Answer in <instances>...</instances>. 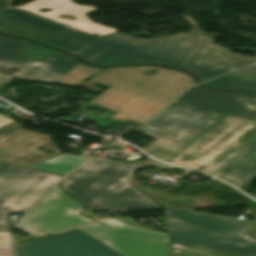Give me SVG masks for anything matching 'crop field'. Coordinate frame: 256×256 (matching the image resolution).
I'll return each instance as SVG.
<instances>
[{
    "instance_id": "obj_28",
    "label": "crop field",
    "mask_w": 256,
    "mask_h": 256,
    "mask_svg": "<svg viewBox=\"0 0 256 256\" xmlns=\"http://www.w3.org/2000/svg\"><path fill=\"white\" fill-rule=\"evenodd\" d=\"M4 81H5V80H3V79H0V84H1V83H3Z\"/></svg>"
},
{
    "instance_id": "obj_16",
    "label": "crop field",
    "mask_w": 256,
    "mask_h": 256,
    "mask_svg": "<svg viewBox=\"0 0 256 256\" xmlns=\"http://www.w3.org/2000/svg\"><path fill=\"white\" fill-rule=\"evenodd\" d=\"M204 84L220 89L246 88L256 90V64L231 72Z\"/></svg>"
},
{
    "instance_id": "obj_10",
    "label": "crop field",
    "mask_w": 256,
    "mask_h": 256,
    "mask_svg": "<svg viewBox=\"0 0 256 256\" xmlns=\"http://www.w3.org/2000/svg\"><path fill=\"white\" fill-rule=\"evenodd\" d=\"M201 172L229 182L239 189L252 180L256 176V126Z\"/></svg>"
},
{
    "instance_id": "obj_6",
    "label": "crop field",
    "mask_w": 256,
    "mask_h": 256,
    "mask_svg": "<svg viewBox=\"0 0 256 256\" xmlns=\"http://www.w3.org/2000/svg\"><path fill=\"white\" fill-rule=\"evenodd\" d=\"M224 116L226 115L173 103L142 126L145 134L157 139L142 150L169 162ZM209 118L214 119L206 126L202 125Z\"/></svg>"
},
{
    "instance_id": "obj_13",
    "label": "crop field",
    "mask_w": 256,
    "mask_h": 256,
    "mask_svg": "<svg viewBox=\"0 0 256 256\" xmlns=\"http://www.w3.org/2000/svg\"><path fill=\"white\" fill-rule=\"evenodd\" d=\"M175 102L250 119L256 117V94L253 93H221L193 86Z\"/></svg>"
},
{
    "instance_id": "obj_2",
    "label": "crop field",
    "mask_w": 256,
    "mask_h": 256,
    "mask_svg": "<svg viewBox=\"0 0 256 256\" xmlns=\"http://www.w3.org/2000/svg\"><path fill=\"white\" fill-rule=\"evenodd\" d=\"M96 68L79 63L58 84L99 93L95 82L110 87L90 104L112 110L110 118L143 124L194 81L188 75L160 67ZM89 82L84 80L92 76Z\"/></svg>"
},
{
    "instance_id": "obj_4",
    "label": "crop field",
    "mask_w": 256,
    "mask_h": 256,
    "mask_svg": "<svg viewBox=\"0 0 256 256\" xmlns=\"http://www.w3.org/2000/svg\"><path fill=\"white\" fill-rule=\"evenodd\" d=\"M141 168L94 157L74 170L61 187L90 210L160 208L127 183Z\"/></svg>"
},
{
    "instance_id": "obj_8",
    "label": "crop field",
    "mask_w": 256,
    "mask_h": 256,
    "mask_svg": "<svg viewBox=\"0 0 256 256\" xmlns=\"http://www.w3.org/2000/svg\"><path fill=\"white\" fill-rule=\"evenodd\" d=\"M84 207L66 195L58 186L33 210L25 215L16 228L36 235L57 233L92 222L79 215Z\"/></svg>"
},
{
    "instance_id": "obj_21",
    "label": "crop field",
    "mask_w": 256,
    "mask_h": 256,
    "mask_svg": "<svg viewBox=\"0 0 256 256\" xmlns=\"http://www.w3.org/2000/svg\"><path fill=\"white\" fill-rule=\"evenodd\" d=\"M0 256H13L8 213H0Z\"/></svg>"
},
{
    "instance_id": "obj_19",
    "label": "crop field",
    "mask_w": 256,
    "mask_h": 256,
    "mask_svg": "<svg viewBox=\"0 0 256 256\" xmlns=\"http://www.w3.org/2000/svg\"><path fill=\"white\" fill-rule=\"evenodd\" d=\"M99 223H101L109 228L120 231V232H125V233H129V234H134V235H140V236L168 242L167 234H165V233L134 228L129 225L120 223L114 219H105L103 221H99Z\"/></svg>"
},
{
    "instance_id": "obj_25",
    "label": "crop field",
    "mask_w": 256,
    "mask_h": 256,
    "mask_svg": "<svg viewBox=\"0 0 256 256\" xmlns=\"http://www.w3.org/2000/svg\"><path fill=\"white\" fill-rule=\"evenodd\" d=\"M226 72H229V71H226ZM226 72H223V73H220V74H216V75L210 76V77L205 78V79L200 80V81L202 82V81L208 80V79H210V78L216 77V76L221 75V74H224V73H226Z\"/></svg>"
},
{
    "instance_id": "obj_12",
    "label": "crop field",
    "mask_w": 256,
    "mask_h": 256,
    "mask_svg": "<svg viewBox=\"0 0 256 256\" xmlns=\"http://www.w3.org/2000/svg\"><path fill=\"white\" fill-rule=\"evenodd\" d=\"M17 256H100L112 249L75 229L16 248Z\"/></svg>"
},
{
    "instance_id": "obj_27",
    "label": "crop field",
    "mask_w": 256,
    "mask_h": 256,
    "mask_svg": "<svg viewBox=\"0 0 256 256\" xmlns=\"http://www.w3.org/2000/svg\"><path fill=\"white\" fill-rule=\"evenodd\" d=\"M55 120H59V121H63V122H67L69 124H71L72 122L71 121H67V120H63V119H58V118H55Z\"/></svg>"
},
{
    "instance_id": "obj_7",
    "label": "crop field",
    "mask_w": 256,
    "mask_h": 256,
    "mask_svg": "<svg viewBox=\"0 0 256 256\" xmlns=\"http://www.w3.org/2000/svg\"><path fill=\"white\" fill-rule=\"evenodd\" d=\"M62 178L0 162V212L27 210Z\"/></svg>"
},
{
    "instance_id": "obj_5",
    "label": "crop field",
    "mask_w": 256,
    "mask_h": 256,
    "mask_svg": "<svg viewBox=\"0 0 256 256\" xmlns=\"http://www.w3.org/2000/svg\"><path fill=\"white\" fill-rule=\"evenodd\" d=\"M169 242L256 256V242L244 236L251 220L166 209Z\"/></svg>"
},
{
    "instance_id": "obj_17",
    "label": "crop field",
    "mask_w": 256,
    "mask_h": 256,
    "mask_svg": "<svg viewBox=\"0 0 256 256\" xmlns=\"http://www.w3.org/2000/svg\"><path fill=\"white\" fill-rule=\"evenodd\" d=\"M28 42L23 40H15L0 36V69L17 66L19 69L29 59L25 57L21 52ZM0 75V78L5 80L13 77Z\"/></svg>"
},
{
    "instance_id": "obj_15",
    "label": "crop field",
    "mask_w": 256,
    "mask_h": 256,
    "mask_svg": "<svg viewBox=\"0 0 256 256\" xmlns=\"http://www.w3.org/2000/svg\"><path fill=\"white\" fill-rule=\"evenodd\" d=\"M77 64L74 58L58 52L43 63L31 60L17 78L55 83Z\"/></svg>"
},
{
    "instance_id": "obj_3",
    "label": "crop field",
    "mask_w": 256,
    "mask_h": 256,
    "mask_svg": "<svg viewBox=\"0 0 256 256\" xmlns=\"http://www.w3.org/2000/svg\"><path fill=\"white\" fill-rule=\"evenodd\" d=\"M11 0H0V32L23 36L58 49L75 53L95 39L94 34L104 35L115 29L98 25L89 20L87 12L92 6H82L70 0H34L24 6L10 7ZM40 9H49L38 13ZM72 15L77 20L59 18Z\"/></svg>"
},
{
    "instance_id": "obj_11",
    "label": "crop field",
    "mask_w": 256,
    "mask_h": 256,
    "mask_svg": "<svg viewBox=\"0 0 256 256\" xmlns=\"http://www.w3.org/2000/svg\"><path fill=\"white\" fill-rule=\"evenodd\" d=\"M22 124L13 121L0 128V161L29 167L61 153L47 135L19 128ZM47 146L54 154L35 148Z\"/></svg>"
},
{
    "instance_id": "obj_1",
    "label": "crop field",
    "mask_w": 256,
    "mask_h": 256,
    "mask_svg": "<svg viewBox=\"0 0 256 256\" xmlns=\"http://www.w3.org/2000/svg\"><path fill=\"white\" fill-rule=\"evenodd\" d=\"M185 18L195 27L188 35L142 39L114 32L75 54L91 64L155 63L188 69L200 79L256 62V57L235 55L206 42L208 36H202L190 17Z\"/></svg>"
},
{
    "instance_id": "obj_20",
    "label": "crop field",
    "mask_w": 256,
    "mask_h": 256,
    "mask_svg": "<svg viewBox=\"0 0 256 256\" xmlns=\"http://www.w3.org/2000/svg\"><path fill=\"white\" fill-rule=\"evenodd\" d=\"M172 256H246L170 243Z\"/></svg>"
},
{
    "instance_id": "obj_23",
    "label": "crop field",
    "mask_w": 256,
    "mask_h": 256,
    "mask_svg": "<svg viewBox=\"0 0 256 256\" xmlns=\"http://www.w3.org/2000/svg\"><path fill=\"white\" fill-rule=\"evenodd\" d=\"M148 166H152V167L163 169V170L174 167V166L164 164V163H161V162H158V161L150 163V164H148Z\"/></svg>"
},
{
    "instance_id": "obj_14",
    "label": "crop field",
    "mask_w": 256,
    "mask_h": 256,
    "mask_svg": "<svg viewBox=\"0 0 256 256\" xmlns=\"http://www.w3.org/2000/svg\"><path fill=\"white\" fill-rule=\"evenodd\" d=\"M78 229L123 256H170L168 243L123 234L97 223Z\"/></svg>"
},
{
    "instance_id": "obj_26",
    "label": "crop field",
    "mask_w": 256,
    "mask_h": 256,
    "mask_svg": "<svg viewBox=\"0 0 256 256\" xmlns=\"http://www.w3.org/2000/svg\"><path fill=\"white\" fill-rule=\"evenodd\" d=\"M104 256H121V255L116 253V252H113V253H110V254H107V255H104Z\"/></svg>"
},
{
    "instance_id": "obj_9",
    "label": "crop field",
    "mask_w": 256,
    "mask_h": 256,
    "mask_svg": "<svg viewBox=\"0 0 256 256\" xmlns=\"http://www.w3.org/2000/svg\"><path fill=\"white\" fill-rule=\"evenodd\" d=\"M254 125V120L227 115L170 163L194 170L206 166Z\"/></svg>"
},
{
    "instance_id": "obj_24",
    "label": "crop field",
    "mask_w": 256,
    "mask_h": 256,
    "mask_svg": "<svg viewBox=\"0 0 256 256\" xmlns=\"http://www.w3.org/2000/svg\"><path fill=\"white\" fill-rule=\"evenodd\" d=\"M11 121H13V120L8 119V118L3 117V116L0 115V126H2V125H4V124H7V123H9V122H11Z\"/></svg>"
},
{
    "instance_id": "obj_18",
    "label": "crop field",
    "mask_w": 256,
    "mask_h": 256,
    "mask_svg": "<svg viewBox=\"0 0 256 256\" xmlns=\"http://www.w3.org/2000/svg\"><path fill=\"white\" fill-rule=\"evenodd\" d=\"M86 159L87 157L61 153L57 156L33 165L30 168L66 175L70 170H72Z\"/></svg>"
},
{
    "instance_id": "obj_22",
    "label": "crop field",
    "mask_w": 256,
    "mask_h": 256,
    "mask_svg": "<svg viewBox=\"0 0 256 256\" xmlns=\"http://www.w3.org/2000/svg\"><path fill=\"white\" fill-rule=\"evenodd\" d=\"M21 52L32 60L43 62L45 59L52 56L57 51L39 45L30 44L27 47H25Z\"/></svg>"
}]
</instances>
